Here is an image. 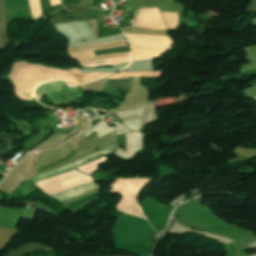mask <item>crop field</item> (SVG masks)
Instances as JSON below:
<instances>
[{"instance_id": "crop-field-5", "label": "crop field", "mask_w": 256, "mask_h": 256, "mask_svg": "<svg viewBox=\"0 0 256 256\" xmlns=\"http://www.w3.org/2000/svg\"><path fill=\"white\" fill-rule=\"evenodd\" d=\"M91 182H94L92 177L73 170L35 184L39 189L52 195Z\"/></svg>"}, {"instance_id": "crop-field-4", "label": "crop field", "mask_w": 256, "mask_h": 256, "mask_svg": "<svg viewBox=\"0 0 256 256\" xmlns=\"http://www.w3.org/2000/svg\"><path fill=\"white\" fill-rule=\"evenodd\" d=\"M150 179H120L111 185L112 191L124 192V196L117 208L119 211L125 212L132 216L142 219L145 217L139 212L136 198L141 193V190L150 183Z\"/></svg>"}, {"instance_id": "crop-field-3", "label": "crop field", "mask_w": 256, "mask_h": 256, "mask_svg": "<svg viewBox=\"0 0 256 256\" xmlns=\"http://www.w3.org/2000/svg\"><path fill=\"white\" fill-rule=\"evenodd\" d=\"M134 55L133 61L158 58L168 51L172 40L168 36L126 34Z\"/></svg>"}, {"instance_id": "crop-field-10", "label": "crop field", "mask_w": 256, "mask_h": 256, "mask_svg": "<svg viewBox=\"0 0 256 256\" xmlns=\"http://www.w3.org/2000/svg\"><path fill=\"white\" fill-rule=\"evenodd\" d=\"M52 6L53 5H57V4H61V0H51Z\"/></svg>"}, {"instance_id": "crop-field-2", "label": "crop field", "mask_w": 256, "mask_h": 256, "mask_svg": "<svg viewBox=\"0 0 256 256\" xmlns=\"http://www.w3.org/2000/svg\"><path fill=\"white\" fill-rule=\"evenodd\" d=\"M127 46L125 40L99 45L69 48L72 57L79 60L84 67L99 65H120L131 62V52L95 56L93 50Z\"/></svg>"}, {"instance_id": "crop-field-7", "label": "crop field", "mask_w": 256, "mask_h": 256, "mask_svg": "<svg viewBox=\"0 0 256 256\" xmlns=\"http://www.w3.org/2000/svg\"><path fill=\"white\" fill-rule=\"evenodd\" d=\"M105 161H107V160H106L105 156H103V157H101V158H99V159H97V160H95V161H93L91 163H88L86 165H83V166H81V167H79L77 169H79V170H81L83 172H86L88 174H92L96 170H98L97 165H99V164H101V163H103Z\"/></svg>"}, {"instance_id": "crop-field-9", "label": "crop field", "mask_w": 256, "mask_h": 256, "mask_svg": "<svg viewBox=\"0 0 256 256\" xmlns=\"http://www.w3.org/2000/svg\"><path fill=\"white\" fill-rule=\"evenodd\" d=\"M29 4L33 19L42 16L39 0H29Z\"/></svg>"}, {"instance_id": "crop-field-1", "label": "crop field", "mask_w": 256, "mask_h": 256, "mask_svg": "<svg viewBox=\"0 0 256 256\" xmlns=\"http://www.w3.org/2000/svg\"><path fill=\"white\" fill-rule=\"evenodd\" d=\"M107 74L109 73L82 74L77 68L63 71L16 63L11 74V79L14 82L17 95L24 98V96H34V88L44 81L66 79L72 85H79L102 78Z\"/></svg>"}, {"instance_id": "crop-field-6", "label": "crop field", "mask_w": 256, "mask_h": 256, "mask_svg": "<svg viewBox=\"0 0 256 256\" xmlns=\"http://www.w3.org/2000/svg\"><path fill=\"white\" fill-rule=\"evenodd\" d=\"M132 25L149 29H166L163 17L158 8L139 9Z\"/></svg>"}, {"instance_id": "crop-field-8", "label": "crop field", "mask_w": 256, "mask_h": 256, "mask_svg": "<svg viewBox=\"0 0 256 256\" xmlns=\"http://www.w3.org/2000/svg\"><path fill=\"white\" fill-rule=\"evenodd\" d=\"M165 20H166V23H167V26H168V29H177L178 27V13H173V12H164V11H161Z\"/></svg>"}]
</instances>
